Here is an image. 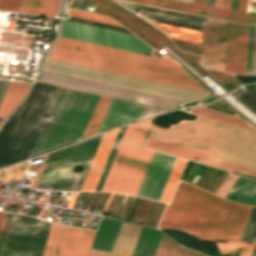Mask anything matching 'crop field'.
<instances>
[{
  "label": "crop field",
  "instance_id": "8a807250",
  "mask_svg": "<svg viewBox=\"0 0 256 256\" xmlns=\"http://www.w3.org/2000/svg\"><path fill=\"white\" fill-rule=\"evenodd\" d=\"M251 208L180 181L159 228L185 231L204 240L238 241Z\"/></svg>",
  "mask_w": 256,
  "mask_h": 256
},
{
  "label": "crop field",
  "instance_id": "ac0d7876",
  "mask_svg": "<svg viewBox=\"0 0 256 256\" xmlns=\"http://www.w3.org/2000/svg\"><path fill=\"white\" fill-rule=\"evenodd\" d=\"M151 138L239 163L256 170V133L198 116L169 130L154 126Z\"/></svg>",
  "mask_w": 256,
  "mask_h": 256
},
{
  "label": "crop field",
  "instance_id": "34b2d1b8",
  "mask_svg": "<svg viewBox=\"0 0 256 256\" xmlns=\"http://www.w3.org/2000/svg\"><path fill=\"white\" fill-rule=\"evenodd\" d=\"M72 90L61 88L30 157L43 152ZM99 97L74 89L44 152L79 140Z\"/></svg>",
  "mask_w": 256,
  "mask_h": 256
},
{
  "label": "crop field",
  "instance_id": "412701ff",
  "mask_svg": "<svg viewBox=\"0 0 256 256\" xmlns=\"http://www.w3.org/2000/svg\"><path fill=\"white\" fill-rule=\"evenodd\" d=\"M153 119L127 127L102 191L136 196L147 169L152 150L142 148Z\"/></svg>",
  "mask_w": 256,
  "mask_h": 256
},
{
  "label": "crop field",
  "instance_id": "f4fd0767",
  "mask_svg": "<svg viewBox=\"0 0 256 256\" xmlns=\"http://www.w3.org/2000/svg\"><path fill=\"white\" fill-rule=\"evenodd\" d=\"M43 71L181 102L206 94L51 58L48 59Z\"/></svg>",
  "mask_w": 256,
  "mask_h": 256
},
{
  "label": "crop field",
  "instance_id": "dd49c442",
  "mask_svg": "<svg viewBox=\"0 0 256 256\" xmlns=\"http://www.w3.org/2000/svg\"><path fill=\"white\" fill-rule=\"evenodd\" d=\"M101 135L51 153L37 184L50 190L79 191ZM81 164L84 171L72 173Z\"/></svg>",
  "mask_w": 256,
  "mask_h": 256
},
{
  "label": "crop field",
  "instance_id": "e52e79f7",
  "mask_svg": "<svg viewBox=\"0 0 256 256\" xmlns=\"http://www.w3.org/2000/svg\"><path fill=\"white\" fill-rule=\"evenodd\" d=\"M41 74H42V72H41ZM41 74H40V76H41ZM40 76H39V78H40ZM39 78H38V80H39ZM40 80L58 84V85L67 86V87H72V88H76V89H80V90L94 92V93H98V94H103V95H108V96L126 99V100H130V101L149 104V105H153V106L163 107V108H167V109H170L174 104L179 103L176 101H171V100H167V99H162V98L144 95V94H140V93H135V92H131V91H126V90H122V89H117V88H113V87L103 86V85L94 84V83H90V82L80 81V80L62 77V76H58V75L48 74V73H44V72H43Z\"/></svg>",
  "mask_w": 256,
  "mask_h": 256
},
{
  "label": "crop field",
  "instance_id": "d8731c3e",
  "mask_svg": "<svg viewBox=\"0 0 256 256\" xmlns=\"http://www.w3.org/2000/svg\"><path fill=\"white\" fill-rule=\"evenodd\" d=\"M249 26L228 22L224 71L246 75Z\"/></svg>",
  "mask_w": 256,
  "mask_h": 256
},
{
  "label": "crop field",
  "instance_id": "5a996713",
  "mask_svg": "<svg viewBox=\"0 0 256 256\" xmlns=\"http://www.w3.org/2000/svg\"><path fill=\"white\" fill-rule=\"evenodd\" d=\"M145 147L151 148V149H154V150H158V151H161V152H164V153H168V154H171V155H175V156H178V157H182V158H185V159H189V160H192V161H195V162L197 160H199L200 161L199 163L206 164V165H209V166H213V167L223 169V170H226V171H230V172L235 171V172H239V173H243V174H246V175L256 177V171L248 169V168H246L244 166H241L239 164L232 163V162L222 160V159H219V158H215V157L205 155V154H202V153H199V152H195V151H192V150H188V149L178 147V146H175V145H171V144L161 142V141H158V140H155V139L149 138Z\"/></svg>",
  "mask_w": 256,
  "mask_h": 256
},
{
  "label": "crop field",
  "instance_id": "3316defc",
  "mask_svg": "<svg viewBox=\"0 0 256 256\" xmlns=\"http://www.w3.org/2000/svg\"><path fill=\"white\" fill-rule=\"evenodd\" d=\"M175 159L155 151L137 196L158 200Z\"/></svg>",
  "mask_w": 256,
  "mask_h": 256
},
{
  "label": "crop field",
  "instance_id": "28ad6ade",
  "mask_svg": "<svg viewBox=\"0 0 256 256\" xmlns=\"http://www.w3.org/2000/svg\"><path fill=\"white\" fill-rule=\"evenodd\" d=\"M205 21L208 24L204 30L202 66L205 61L215 62V67H204L223 71L227 22L210 18H205Z\"/></svg>",
  "mask_w": 256,
  "mask_h": 256
},
{
  "label": "crop field",
  "instance_id": "d1516ede",
  "mask_svg": "<svg viewBox=\"0 0 256 256\" xmlns=\"http://www.w3.org/2000/svg\"><path fill=\"white\" fill-rule=\"evenodd\" d=\"M136 2H141L145 4L155 5L167 9L191 12L198 15H203L206 12V15L213 18H218L222 20H231L246 24H253L256 25V15L244 14L239 12H233L223 9H217L207 6L183 3L173 0H131Z\"/></svg>",
  "mask_w": 256,
  "mask_h": 256
},
{
  "label": "crop field",
  "instance_id": "22f410ed",
  "mask_svg": "<svg viewBox=\"0 0 256 256\" xmlns=\"http://www.w3.org/2000/svg\"><path fill=\"white\" fill-rule=\"evenodd\" d=\"M116 1L137 14L141 12V16L145 19L202 31L203 17L201 16L178 13L121 0Z\"/></svg>",
  "mask_w": 256,
  "mask_h": 256
},
{
  "label": "crop field",
  "instance_id": "cbeb9de0",
  "mask_svg": "<svg viewBox=\"0 0 256 256\" xmlns=\"http://www.w3.org/2000/svg\"><path fill=\"white\" fill-rule=\"evenodd\" d=\"M56 43L71 46V47H76V48H80V49H84V50H89V51H93V52H98V53H102V54H107V55H111V56H116V57H120V58H124V59H129V60H133V61H138V62H142V63H147V64H151V65H156V66L169 68V69H173V70L182 71L181 68L172 61L147 57V56L140 55V54L126 52V51H122V50H118V49H113V48H109V47H105V46H100V45L91 44V43H87V42H83V41L69 39V38H65V37H61V36L58 37Z\"/></svg>",
  "mask_w": 256,
  "mask_h": 256
},
{
  "label": "crop field",
  "instance_id": "5142ce71",
  "mask_svg": "<svg viewBox=\"0 0 256 256\" xmlns=\"http://www.w3.org/2000/svg\"><path fill=\"white\" fill-rule=\"evenodd\" d=\"M95 233L64 226L58 256H87Z\"/></svg>",
  "mask_w": 256,
  "mask_h": 256
},
{
  "label": "crop field",
  "instance_id": "d9b57169",
  "mask_svg": "<svg viewBox=\"0 0 256 256\" xmlns=\"http://www.w3.org/2000/svg\"><path fill=\"white\" fill-rule=\"evenodd\" d=\"M144 106L143 104L113 98L97 132L137 120Z\"/></svg>",
  "mask_w": 256,
  "mask_h": 256
},
{
  "label": "crop field",
  "instance_id": "733c2abd",
  "mask_svg": "<svg viewBox=\"0 0 256 256\" xmlns=\"http://www.w3.org/2000/svg\"><path fill=\"white\" fill-rule=\"evenodd\" d=\"M118 129L102 135L80 191L95 190Z\"/></svg>",
  "mask_w": 256,
  "mask_h": 256
},
{
  "label": "crop field",
  "instance_id": "4a817a6b",
  "mask_svg": "<svg viewBox=\"0 0 256 256\" xmlns=\"http://www.w3.org/2000/svg\"><path fill=\"white\" fill-rule=\"evenodd\" d=\"M62 29L149 48L147 45H145L142 41L137 39L135 36L126 34V33L116 32L112 30L93 27V26L70 22L66 20L63 21ZM133 42H135V44H133Z\"/></svg>",
  "mask_w": 256,
  "mask_h": 256
},
{
  "label": "crop field",
  "instance_id": "bc2a9ffb",
  "mask_svg": "<svg viewBox=\"0 0 256 256\" xmlns=\"http://www.w3.org/2000/svg\"><path fill=\"white\" fill-rule=\"evenodd\" d=\"M120 222L101 219L91 249L110 252L120 227ZM91 250L89 256H109L110 253Z\"/></svg>",
  "mask_w": 256,
  "mask_h": 256
},
{
  "label": "crop field",
  "instance_id": "214f88e0",
  "mask_svg": "<svg viewBox=\"0 0 256 256\" xmlns=\"http://www.w3.org/2000/svg\"><path fill=\"white\" fill-rule=\"evenodd\" d=\"M141 228L122 223L110 256H131Z\"/></svg>",
  "mask_w": 256,
  "mask_h": 256
},
{
  "label": "crop field",
  "instance_id": "92a150f3",
  "mask_svg": "<svg viewBox=\"0 0 256 256\" xmlns=\"http://www.w3.org/2000/svg\"><path fill=\"white\" fill-rule=\"evenodd\" d=\"M232 195L237 196L236 200L230 199ZM226 199L256 206V181L239 176Z\"/></svg>",
  "mask_w": 256,
  "mask_h": 256
},
{
  "label": "crop field",
  "instance_id": "dafd665d",
  "mask_svg": "<svg viewBox=\"0 0 256 256\" xmlns=\"http://www.w3.org/2000/svg\"><path fill=\"white\" fill-rule=\"evenodd\" d=\"M31 83L11 81L0 104V116L6 117L17 105Z\"/></svg>",
  "mask_w": 256,
  "mask_h": 256
},
{
  "label": "crop field",
  "instance_id": "00972430",
  "mask_svg": "<svg viewBox=\"0 0 256 256\" xmlns=\"http://www.w3.org/2000/svg\"><path fill=\"white\" fill-rule=\"evenodd\" d=\"M162 233L142 228L132 256H154Z\"/></svg>",
  "mask_w": 256,
  "mask_h": 256
},
{
  "label": "crop field",
  "instance_id": "a9b5d70f",
  "mask_svg": "<svg viewBox=\"0 0 256 256\" xmlns=\"http://www.w3.org/2000/svg\"><path fill=\"white\" fill-rule=\"evenodd\" d=\"M60 0H22L20 11L23 13L55 16Z\"/></svg>",
  "mask_w": 256,
  "mask_h": 256
},
{
  "label": "crop field",
  "instance_id": "4177f3b9",
  "mask_svg": "<svg viewBox=\"0 0 256 256\" xmlns=\"http://www.w3.org/2000/svg\"><path fill=\"white\" fill-rule=\"evenodd\" d=\"M59 35L74 38V39H79V40H83V41H87V42H92V43H96V44H101V45H105V46H110V47H114V48H119V49H123V50H127V51H132V52H136V53H141V54H145L148 56L151 55V51H152V50L146 49V48L127 45V44H123V43H118V42H114V41H109V40H105V39L87 36V35L77 34V33L68 32V31H64V30H61Z\"/></svg>",
  "mask_w": 256,
  "mask_h": 256
},
{
  "label": "crop field",
  "instance_id": "730fd06b",
  "mask_svg": "<svg viewBox=\"0 0 256 256\" xmlns=\"http://www.w3.org/2000/svg\"><path fill=\"white\" fill-rule=\"evenodd\" d=\"M149 22H151L153 25L161 29L170 37L201 44L202 32L200 31L157 23L153 21H149Z\"/></svg>",
  "mask_w": 256,
  "mask_h": 256
},
{
  "label": "crop field",
  "instance_id": "eef30255",
  "mask_svg": "<svg viewBox=\"0 0 256 256\" xmlns=\"http://www.w3.org/2000/svg\"><path fill=\"white\" fill-rule=\"evenodd\" d=\"M111 99L109 97H100L81 139L96 132Z\"/></svg>",
  "mask_w": 256,
  "mask_h": 256
},
{
  "label": "crop field",
  "instance_id": "ae1a2a85",
  "mask_svg": "<svg viewBox=\"0 0 256 256\" xmlns=\"http://www.w3.org/2000/svg\"><path fill=\"white\" fill-rule=\"evenodd\" d=\"M186 160L177 158L159 200L168 202L174 192Z\"/></svg>",
  "mask_w": 256,
  "mask_h": 256
},
{
  "label": "crop field",
  "instance_id": "d3111659",
  "mask_svg": "<svg viewBox=\"0 0 256 256\" xmlns=\"http://www.w3.org/2000/svg\"><path fill=\"white\" fill-rule=\"evenodd\" d=\"M191 113L252 130L245 122L240 119L213 112L204 108L192 109Z\"/></svg>",
  "mask_w": 256,
  "mask_h": 256
},
{
  "label": "crop field",
  "instance_id": "750c4746",
  "mask_svg": "<svg viewBox=\"0 0 256 256\" xmlns=\"http://www.w3.org/2000/svg\"><path fill=\"white\" fill-rule=\"evenodd\" d=\"M60 232L61 225L52 223L43 256L55 255V249L59 239Z\"/></svg>",
  "mask_w": 256,
  "mask_h": 256
},
{
  "label": "crop field",
  "instance_id": "bd1437ed",
  "mask_svg": "<svg viewBox=\"0 0 256 256\" xmlns=\"http://www.w3.org/2000/svg\"><path fill=\"white\" fill-rule=\"evenodd\" d=\"M125 128H126V126L120 127V129H119V131H118V134H117V136H116L115 142H114V144H113V147H112V149H111V152H110V154H109L108 160H107V162H106V165H105V167H104V170H103V172H102V175H101V177H100L99 183H98L97 188H96L95 191H100L101 188H102V185H103V183H104V180H105V178H106V175H107V173H108V170H109V168H110V165H111V163H112V161H113V158H114V156H115V153H116L117 148H118V146H119V143H120V141H121L120 138L122 137Z\"/></svg>",
  "mask_w": 256,
  "mask_h": 256
},
{
  "label": "crop field",
  "instance_id": "1d83c4d3",
  "mask_svg": "<svg viewBox=\"0 0 256 256\" xmlns=\"http://www.w3.org/2000/svg\"><path fill=\"white\" fill-rule=\"evenodd\" d=\"M171 241L162 235L155 256H175L179 245Z\"/></svg>",
  "mask_w": 256,
  "mask_h": 256
},
{
  "label": "crop field",
  "instance_id": "120bbe31",
  "mask_svg": "<svg viewBox=\"0 0 256 256\" xmlns=\"http://www.w3.org/2000/svg\"><path fill=\"white\" fill-rule=\"evenodd\" d=\"M67 13L69 15L76 16V17H81V18H86V19H90V20H95V21H99V22H104V23H108V24L121 26V25L117 24L116 22H114L113 20L106 18L104 16H100V15L81 12V11H77V10H68Z\"/></svg>",
  "mask_w": 256,
  "mask_h": 256
},
{
  "label": "crop field",
  "instance_id": "d32e631a",
  "mask_svg": "<svg viewBox=\"0 0 256 256\" xmlns=\"http://www.w3.org/2000/svg\"><path fill=\"white\" fill-rule=\"evenodd\" d=\"M219 253L226 254V253H233L236 252L238 249L239 242H227V243H216Z\"/></svg>",
  "mask_w": 256,
  "mask_h": 256
},
{
  "label": "crop field",
  "instance_id": "5866460e",
  "mask_svg": "<svg viewBox=\"0 0 256 256\" xmlns=\"http://www.w3.org/2000/svg\"><path fill=\"white\" fill-rule=\"evenodd\" d=\"M21 0H0V10L18 12Z\"/></svg>",
  "mask_w": 256,
  "mask_h": 256
},
{
  "label": "crop field",
  "instance_id": "028f5c9d",
  "mask_svg": "<svg viewBox=\"0 0 256 256\" xmlns=\"http://www.w3.org/2000/svg\"><path fill=\"white\" fill-rule=\"evenodd\" d=\"M254 26H250L247 75H250Z\"/></svg>",
  "mask_w": 256,
  "mask_h": 256
},
{
  "label": "crop field",
  "instance_id": "e1f06a70",
  "mask_svg": "<svg viewBox=\"0 0 256 256\" xmlns=\"http://www.w3.org/2000/svg\"><path fill=\"white\" fill-rule=\"evenodd\" d=\"M255 243L245 244L240 242L238 256H251V252Z\"/></svg>",
  "mask_w": 256,
  "mask_h": 256
},
{
  "label": "crop field",
  "instance_id": "0bd39190",
  "mask_svg": "<svg viewBox=\"0 0 256 256\" xmlns=\"http://www.w3.org/2000/svg\"><path fill=\"white\" fill-rule=\"evenodd\" d=\"M251 75H256V26H255V32H254V44H253V57H252Z\"/></svg>",
  "mask_w": 256,
  "mask_h": 256
},
{
  "label": "crop field",
  "instance_id": "b80d0937",
  "mask_svg": "<svg viewBox=\"0 0 256 256\" xmlns=\"http://www.w3.org/2000/svg\"><path fill=\"white\" fill-rule=\"evenodd\" d=\"M176 256H204V255L187 250L180 246Z\"/></svg>",
  "mask_w": 256,
  "mask_h": 256
},
{
  "label": "crop field",
  "instance_id": "c035e120",
  "mask_svg": "<svg viewBox=\"0 0 256 256\" xmlns=\"http://www.w3.org/2000/svg\"><path fill=\"white\" fill-rule=\"evenodd\" d=\"M10 81L0 80V102Z\"/></svg>",
  "mask_w": 256,
  "mask_h": 256
},
{
  "label": "crop field",
  "instance_id": "c21b1889",
  "mask_svg": "<svg viewBox=\"0 0 256 256\" xmlns=\"http://www.w3.org/2000/svg\"><path fill=\"white\" fill-rule=\"evenodd\" d=\"M79 193H75V192H72L71 195H70V198L68 200V203H67V207H73L74 203H75V200L77 198Z\"/></svg>",
  "mask_w": 256,
  "mask_h": 256
},
{
  "label": "crop field",
  "instance_id": "03da06ac",
  "mask_svg": "<svg viewBox=\"0 0 256 256\" xmlns=\"http://www.w3.org/2000/svg\"><path fill=\"white\" fill-rule=\"evenodd\" d=\"M247 0H240L239 10L246 12Z\"/></svg>",
  "mask_w": 256,
  "mask_h": 256
},
{
  "label": "crop field",
  "instance_id": "b54c1fbb",
  "mask_svg": "<svg viewBox=\"0 0 256 256\" xmlns=\"http://www.w3.org/2000/svg\"><path fill=\"white\" fill-rule=\"evenodd\" d=\"M230 0H224L223 7L229 9Z\"/></svg>",
  "mask_w": 256,
  "mask_h": 256
},
{
  "label": "crop field",
  "instance_id": "5d738f31",
  "mask_svg": "<svg viewBox=\"0 0 256 256\" xmlns=\"http://www.w3.org/2000/svg\"><path fill=\"white\" fill-rule=\"evenodd\" d=\"M223 0H216L215 6L222 7Z\"/></svg>",
  "mask_w": 256,
  "mask_h": 256
},
{
  "label": "crop field",
  "instance_id": "d23c7cc5",
  "mask_svg": "<svg viewBox=\"0 0 256 256\" xmlns=\"http://www.w3.org/2000/svg\"><path fill=\"white\" fill-rule=\"evenodd\" d=\"M129 198H130V197L128 196L127 199H126L125 205H124L123 210H122V212H121V216L123 215V213H124V211H125V208H126V205H127V203H128Z\"/></svg>",
  "mask_w": 256,
  "mask_h": 256
},
{
  "label": "crop field",
  "instance_id": "425ffa30",
  "mask_svg": "<svg viewBox=\"0 0 256 256\" xmlns=\"http://www.w3.org/2000/svg\"><path fill=\"white\" fill-rule=\"evenodd\" d=\"M112 195H113V193L110 194L109 199H108L107 203L105 204L104 210L106 209V207H107V205H108V203H109V201H110Z\"/></svg>",
  "mask_w": 256,
  "mask_h": 256
},
{
  "label": "crop field",
  "instance_id": "25e5ab78",
  "mask_svg": "<svg viewBox=\"0 0 256 256\" xmlns=\"http://www.w3.org/2000/svg\"><path fill=\"white\" fill-rule=\"evenodd\" d=\"M193 3L202 4V0H193Z\"/></svg>",
  "mask_w": 256,
  "mask_h": 256
},
{
  "label": "crop field",
  "instance_id": "73cf0c24",
  "mask_svg": "<svg viewBox=\"0 0 256 256\" xmlns=\"http://www.w3.org/2000/svg\"><path fill=\"white\" fill-rule=\"evenodd\" d=\"M214 2H215V0H210L209 5L214 6Z\"/></svg>",
  "mask_w": 256,
  "mask_h": 256
},
{
  "label": "crop field",
  "instance_id": "89e229c0",
  "mask_svg": "<svg viewBox=\"0 0 256 256\" xmlns=\"http://www.w3.org/2000/svg\"><path fill=\"white\" fill-rule=\"evenodd\" d=\"M209 0H203L204 5H208Z\"/></svg>",
  "mask_w": 256,
  "mask_h": 256
},
{
  "label": "crop field",
  "instance_id": "1f2cbd36",
  "mask_svg": "<svg viewBox=\"0 0 256 256\" xmlns=\"http://www.w3.org/2000/svg\"><path fill=\"white\" fill-rule=\"evenodd\" d=\"M178 1H186L192 3V0H178Z\"/></svg>",
  "mask_w": 256,
  "mask_h": 256
},
{
  "label": "crop field",
  "instance_id": "dbb93151",
  "mask_svg": "<svg viewBox=\"0 0 256 256\" xmlns=\"http://www.w3.org/2000/svg\"><path fill=\"white\" fill-rule=\"evenodd\" d=\"M2 213H3V212H0V221H1Z\"/></svg>",
  "mask_w": 256,
  "mask_h": 256
},
{
  "label": "crop field",
  "instance_id": "0fb4a251",
  "mask_svg": "<svg viewBox=\"0 0 256 256\" xmlns=\"http://www.w3.org/2000/svg\"><path fill=\"white\" fill-rule=\"evenodd\" d=\"M0 123H1V121H0Z\"/></svg>",
  "mask_w": 256,
  "mask_h": 256
}]
</instances>
